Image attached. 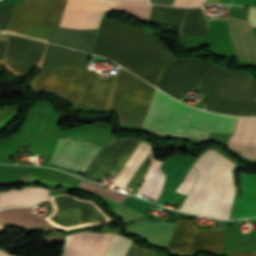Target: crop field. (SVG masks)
<instances>
[{"mask_svg": "<svg viewBox=\"0 0 256 256\" xmlns=\"http://www.w3.org/2000/svg\"><path fill=\"white\" fill-rule=\"evenodd\" d=\"M92 53L112 59L153 85L164 67L175 59L151 34L105 19Z\"/></svg>", "mask_w": 256, "mask_h": 256, "instance_id": "1", "label": "crop field"}, {"mask_svg": "<svg viewBox=\"0 0 256 256\" xmlns=\"http://www.w3.org/2000/svg\"><path fill=\"white\" fill-rule=\"evenodd\" d=\"M234 165L214 150L200 155L193 165L198 178L180 210L228 219L235 191L230 172Z\"/></svg>", "mask_w": 256, "mask_h": 256, "instance_id": "2", "label": "crop field"}, {"mask_svg": "<svg viewBox=\"0 0 256 256\" xmlns=\"http://www.w3.org/2000/svg\"><path fill=\"white\" fill-rule=\"evenodd\" d=\"M235 119L191 108L156 90L142 128L160 134L206 139L210 131L232 132Z\"/></svg>", "mask_w": 256, "mask_h": 256, "instance_id": "3", "label": "crop field"}, {"mask_svg": "<svg viewBox=\"0 0 256 256\" xmlns=\"http://www.w3.org/2000/svg\"><path fill=\"white\" fill-rule=\"evenodd\" d=\"M113 76L101 78L90 70L42 69L31 87L33 91L54 93L73 105L106 109Z\"/></svg>", "mask_w": 256, "mask_h": 256, "instance_id": "4", "label": "crop field"}, {"mask_svg": "<svg viewBox=\"0 0 256 256\" xmlns=\"http://www.w3.org/2000/svg\"><path fill=\"white\" fill-rule=\"evenodd\" d=\"M66 1L18 0L8 31L47 41L53 25L59 26ZM13 5L0 7V30L7 31Z\"/></svg>", "mask_w": 256, "mask_h": 256, "instance_id": "5", "label": "crop field"}, {"mask_svg": "<svg viewBox=\"0 0 256 256\" xmlns=\"http://www.w3.org/2000/svg\"><path fill=\"white\" fill-rule=\"evenodd\" d=\"M155 88L119 68L110 96L109 109L122 123L140 127Z\"/></svg>", "mask_w": 256, "mask_h": 256, "instance_id": "6", "label": "crop field"}, {"mask_svg": "<svg viewBox=\"0 0 256 256\" xmlns=\"http://www.w3.org/2000/svg\"><path fill=\"white\" fill-rule=\"evenodd\" d=\"M224 234L225 231L197 229L193 220H177L167 248L176 254H191L198 250L222 252Z\"/></svg>", "mask_w": 256, "mask_h": 256, "instance_id": "7", "label": "crop field"}, {"mask_svg": "<svg viewBox=\"0 0 256 256\" xmlns=\"http://www.w3.org/2000/svg\"><path fill=\"white\" fill-rule=\"evenodd\" d=\"M121 2L108 0H68L61 25L76 29H98L103 11Z\"/></svg>", "mask_w": 256, "mask_h": 256, "instance_id": "8", "label": "crop field"}, {"mask_svg": "<svg viewBox=\"0 0 256 256\" xmlns=\"http://www.w3.org/2000/svg\"><path fill=\"white\" fill-rule=\"evenodd\" d=\"M103 144L102 141L61 136L50 162L84 171Z\"/></svg>", "mask_w": 256, "mask_h": 256, "instance_id": "9", "label": "crop field"}, {"mask_svg": "<svg viewBox=\"0 0 256 256\" xmlns=\"http://www.w3.org/2000/svg\"><path fill=\"white\" fill-rule=\"evenodd\" d=\"M5 45L6 42H0V60H3ZM44 46V42L9 34L5 62L14 71L26 75L40 58Z\"/></svg>", "mask_w": 256, "mask_h": 256, "instance_id": "10", "label": "crop field"}, {"mask_svg": "<svg viewBox=\"0 0 256 256\" xmlns=\"http://www.w3.org/2000/svg\"><path fill=\"white\" fill-rule=\"evenodd\" d=\"M112 236L87 232L68 235L61 256H102Z\"/></svg>", "mask_w": 256, "mask_h": 256, "instance_id": "11", "label": "crop field"}, {"mask_svg": "<svg viewBox=\"0 0 256 256\" xmlns=\"http://www.w3.org/2000/svg\"><path fill=\"white\" fill-rule=\"evenodd\" d=\"M249 159H256V118L237 117L233 135L227 143Z\"/></svg>", "mask_w": 256, "mask_h": 256, "instance_id": "12", "label": "crop field"}, {"mask_svg": "<svg viewBox=\"0 0 256 256\" xmlns=\"http://www.w3.org/2000/svg\"><path fill=\"white\" fill-rule=\"evenodd\" d=\"M88 55L47 44L42 67L86 68Z\"/></svg>", "mask_w": 256, "mask_h": 256, "instance_id": "13", "label": "crop field"}, {"mask_svg": "<svg viewBox=\"0 0 256 256\" xmlns=\"http://www.w3.org/2000/svg\"><path fill=\"white\" fill-rule=\"evenodd\" d=\"M242 197L237 199L232 219L256 216L255 175L241 174Z\"/></svg>", "mask_w": 256, "mask_h": 256, "instance_id": "14", "label": "crop field"}, {"mask_svg": "<svg viewBox=\"0 0 256 256\" xmlns=\"http://www.w3.org/2000/svg\"><path fill=\"white\" fill-rule=\"evenodd\" d=\"M47 200L45 189H19L0 191V208L13 205H33Z\"/></svg>", "mask_w": 256, "mask_h": 256, "instance_id": "15", "label": "crop field"}, {"mask_svg": "<svg viewBox=\"0 0 256 256\" xmlns=\"http://www.w3.org/2000/svg\"><path fill=\"white\" fill-rule=\"evenodd\" d=\"M160 161L153 160L144 176V182L136 191L139 195H144L155 200L161 191L165 176L159 169Z\"/></svg>", "mask_w": 256, "mask_h": 256, "instance_id": "16", "label": "crop field"}, {"mask_svg": "<svg viewBox=\"0 0 256 256\" xmlns=\"http://www.w3.org/2000/svg\"><path fill=\"white\" fill-rule=\"evenodd\" d=\"M131 239L114 234L104 256H124Z\"/></svg>", "mask_w": 256, "mask_h": 256, "instance_id": "17", "label": "crop field"}, {"mask_svg": "<svg viewBox=\"0 0 256 256\" xmlns=\"http://www.w3.org/2000/svg\"><path fill=\"white\" fill-rule=\"evenodd\" d=\"M150 7L151 5L147 4L124 2L119 4L115 9L125 11L136 17L148 19Z\"/></svg>", "mask_w": 256, "mask_h": 256, "instance_id": "18", "label": "crop field"}, {"mask_svg": "<svg viewBox=\"0 0 256 256\" xmlns=\"http://www.w3.org/2000/svg\"><path fill=\"white\" fill-rule=\"evenodd\" d=\"M197 171L196 169L192 166L190 170L187 172L186 177L182 184L178 187L176 191L183 193L187 195L189 189L191 188L195 178H196Z\"/></svg>", "mask_w": 256, "mask_h": 256, "instance_id": "19", "label": "crop field"}, {"mask_svg": "<svg viewBox=\"0 0 256 256\" xmlns=\"http://www.w3.org/2000/svg\"><path fill=\"white\" fill-rule=\"evenodd\" d=\"M204 1L205 0H175L173 5L194 7L200 6Z\"/></svg>", "mask_w": 256, "mask_h": 256, "instance_id": "20", "label": "crop field"}, {"mask_svg": "<svg viewBox=\"0 0 256 256\" xmlns=\"http://www.w3.org/2000/svg\"><path fill=\"white\" fill-rule=\"evenodd\" d=\"M125 256H151V253L129 247Z\"/></svg>", "mask_w": 256, "mask_h": 256, "instance_id": "21", "label": "crop field"}, {"mask_svg": "<svg viewBox=\"0 0 256 256\" xmlns=\"http://www.w3.org/2000/svg\"><path fill=\"white\" fill-rule=\"evenodd\" d=\"M249 22L252 27H256V9L249 8Z\"/></svg>", "mask_w": 256, "mask_h": 256, "instance_id": "22", "label": "crop field"}, {"mask_svg": "<svg viewBox=\"0 0 256 256\" xmlns=\"http://www.w3.org/2000/svg\"><path fill=\"white\" fill-rule=\"evenodd\" d=\"M230 256H253L250 252H230Z\"/></svg>", "mask_w": 256, "mask_h": 256, "instance_id": "23", "label": "crop field"}, {"mask_svg": "<svg viewBox=\"0 0 256 256\" xmlns=\"http://www.w3.org/2000/svg\"><path fill=\"white\" fill-rule=\"evenodd\" d=\"M3 229L4 228L0 225V231L3 230ZM0 256H12V255H8L7 253L0 250Z\"/></svg>", "mask_w": 256, "mask_h": 256, "instance_id": "24", "label": "crop field"}, {"mask_svg": "<svg viewBox=\"0 0 256 256\" xmlns=\"http://www.w3.org/2000/svg\"><path fill=\"white\" fill-rule=\"evenodd\" d=\"M129 1H137V2H144V3H148V0H129Z\"/></svg>", "mask_w": 256, "mask_h": 256, "instance_id": "25", "label": "crop field"}, {"mask_svg": "<svg viewBox=\"0 0 256 256\" xmlns=\"http://www.w3.org/2000/svg\"><path fill=\"white\" fill-rule=\"evenodd\" d=\"M252 30H253L254 35H255V37H256V28H255V29H252Z\"/></svg>", "mask_w": 256, "mask_h": 256, "instance_id": "26", "label": "crop field"}, {"mask_svg": "<svg viewBox=\"0 0 256 256\" xmlns=\"http://www.w3.org/2000/svg\"><path fill=\"white\" fill-rule=\"evenodd\" d=\"M253 253L256 254V251H254Z\"/></svg>", "mask_w": 256, "mask_h": 256, "instance_id": "27", "label": "crop field"}]
</instances>
